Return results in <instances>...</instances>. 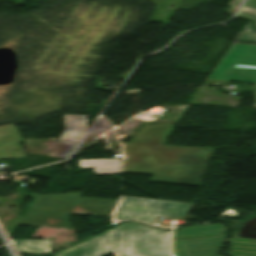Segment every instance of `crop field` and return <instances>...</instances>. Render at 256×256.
<instances>
[{
    "label": "crop field",
    "instance_id": "13",
    "mask_svg": "<svg viewBox=\"0 0 256 256\" xmlns=\"http://www.w3.org/2000/svg\"><path fill=\"white\" fill-rule=\"evenodd\" d=\"M241 5V0H232L229 2V6L231 9L238 10Z\"/></svg>",
    "mask_w": 256,
    "mask_h": 256
},
{
    "label": "crop field",
    "instance_id": "7",
    "mask_svg": "<svg viewBox=\"0 0 256 256\" xmlns=\"http://www.w3.org/2000/svg\"><path fill=\"white\" fill-rule=\"evenodd\" d=\"M87 130L86 117L81 115H64V133L59 140L78 142Z\"/></svg>",
    "mask_w": 256,
    "mask_h": 256
},
{
    "label": "crop field",
    "instance_id": "10",
    "mask_svg": "<svg viewBox=\"0 0 256 256\" xmlns=\"http://www.w3.org/2000/svg\"><path fill=\"white\" fill-rule=\"evenodd\" d=\"M236 41L256 43V29L252 27L251 22H249Z\"/></svg>",
    "mask_w": 256,
    "mask_h": 256
},
{
    "label": "crop field",
    "instance_id": "4",
    "mask_svg": "<svg viewBox=\"0 0 256 256\" xmlns=\"http://www.w3.org/2000/svg\"><path fill=\"white\" fill-rule=\"evenodd\" d=\"M190 204L123 197L114 222L141 220L154 224L156 216L185 217Z\"/></svg>",
    "mask_w": 256,
    "mask_h": 256
},
{
    "label": "crop field",
    "instance_id": "5",
    "mask_svg": "<svg viewBox=\"0 0 256 256\" xmlns=\"http://www.w3.org/2000/svg\"><path fill=\"white\" fill-rule=\"evenodd\" d=\"M208 79L256 83V45L234 43Z\"/></svg>",
    "mask_w": 256,
    "mask_h": 256
},
{
    "label": "crop field",
    "instance_id": "1",
    "mask_svg": "<svg viewBox=\"0 0 256 256\" xmlns=\"http://www.w3.org/2000/svg\"><path fill=\"white\" fill-rule=\"evenodd\" d=\"M115 230L111 253L118 256H169L170 232L139 223H123Z\"/></svg>",
    "mask_w": 256,
    "mask_h": 256
},
{
    "label": "crop field",
    "instance_id": "8",
    "mask_svg": "<svg viewBox=\"0 0 256 256\" xmlns=\"http://www.w3.org/2000/svg\"><path fill=\"white\" fill-rule=\"evenodd\" d=\"M79 168H94L97 175L120 173V159L79 160Z\"/></svg>",
    "mask_w": 256,
    "mask_h": 256
},
{
    "label": "crop field",
    "instance_id": "3",
    "mask_svg": "<svg viewBox=\"0 0 256 256\" xmlns=\"http://www.w3.org/2000/svg\"><path fill=\"white\" fill-rule=\"evenodd\" d=\"M83 193L40 195L27 215L66 219L78 201L85 210L111 216L118 201L80 198Z\"/></svg>",
    "mask_w": 256,
    "mask_h": 256
},
{
    "label": "crop field",
    "instance_id": "15",
    "mask_svg": "<svg viewBox=\"0 0 256 256\" xmlns=\"http://www.w3.org/2000/svg\"><path fill=\"white\" fill-rule=\"evenodd\" d=\"M241 11L249 13V14L256 15V9H254V8L243 7Z\"/></svg>",
    "mask_w": 256,
    "mask_h": 256
},
{
    "label": "crop field",
    "instance_id": "2",
    "mask_svg": "<svg viewBox=\"0 0 256 256\" xmlns=\"http://www.w3.org/2000/svg\"><path fill=\"white\" fill-rule=\"evenodd\" d=\"M224 224L182 228L174 232V256H219L225 241Z\"/></svg>",
    "mask_w": 256,
    "mask_h": 256
},
{
    "label": "crop field",
    "instance_id": "18",
    "mask_svg": "<svg viewBox=\"0 0 256 256\" xmlns=\"http://www.w3.org/2000/svg\"><path fill=\"white\" fill-rule=\"evenodd\" d=\"M49 221H50V218H47L46 221L42 225H40V227H44L45 224L48 223Z\"/></svg>",
    "mask_w": 256,
    "mask_h": 256
},
{
    "label": "crop field",
    "instance_id": "9",
    "mask_svg": "<svg viewBox=\"0 0 256 256\" xmlns=\"http://www.w3.org/2000/svg\"><path fill=\"white\" fill-rule=\"evenodd\" d=\"M17 252L46 254L50 253L49 241H12Z\"/></svg>",
    "mask_w": 256,
    "mask_h": 256
},
{
    "label": "crop field",
    "instance_id": "17",
    "mask_svg": "<svg viewBox=\"0 0 256 256\" xmlns=\"http://www.w3.org/2000/svg\"><path fill=\"white\" fill-rule=\"evenodd\" d=\"M238 16L247 17V18H250V19H252V20H254L256 22V16H252V15H249V14H246V13H242V12H240Z\"/></svg>",
    "mask_w": 256,
    "mask_h": 256
},
{
    "label": "crop field",
    "instance_id": "14",
    "mask_svg": "<svg viewBox=\"0 0 256 256\" xmlns=\"http://www.w3.org/2000/svg\"><path fill=\"white\" fill-rule=\"evenodd\" d=\"M73 212H77V213H89V214H94L88 211H85L82 209V203L78 202V204L76 205L75 209L73 210Z\"/></svg>",
    "mask_w": 256,
    "mask_h": 256
},
{
    "label": "crop field",
    "instance_id": "11",
    "mask_svg": "<svg viewBox=\"0 0 256 256\" xmlns=\"http://www.w3.org/2000/svg\"><path fill=\"white\" fill-rule=\"evenodd\" d=\"M45 227L72 229L71 225L68 223L67 220L54 219V218H51V222L47 224Z\"/></svg>",
    "mask_w": 256,
    "mask_h": 256
},
{
    "label": "crop field",
    "instance_id": "16",
    "mask_svg": "<svg viewBox=\"0 0 256 256\" xmlns=\"http://www.w3.org/2000/svg\"><path fill=\"white\" fill-rule=\"evenodd\" d=\"M244 6L256 8V0H245Z\"/></svg>",
    "mask_w": 256,
    "mask_h": 256
},
{
    "label": "crop field",
    "instance_id": "12",
    "mask_svg": "<svg viewBox=\"0 0 256 256\" xmlns=\"http://www.w3.org/2000/svg\"><path fill=\"white\" fill-rule=\"evenodd\" d=\"M46 218L26 216L21 224L37 226L42 224Z\"/></svg>",
    "mask_w": 256,
    "mask_h": 256
},
{
    "label": "crop field",
    "instance_id": "6",
    "mask_svg": "<svg viewBox=\"0 0 256 256\" xmlns=\"http://www.w3.org/2000/svg\"><path fill=\"white\" fill-rule=\"evenodd\" d=\"M114 227L54 254V256H101L110 253Z\"/></svg>",
    "mask_w": 256,
    "mask_h": 256
}]
</instances>
